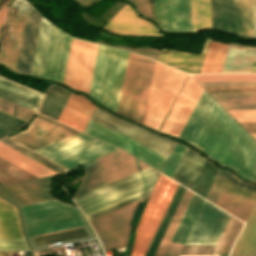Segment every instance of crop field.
<instances>
[{
  "mask_svg": "<svg viewBox=\"0 0 256 256\" xmlns=\"http://www.w3.org/2000/svg\"><path fill=\"white\" fill-rule=\"evenodd\" d=\"M77 131L39 114L28 128L11 139L34 150ZM118 149L80 132L34 150L58 165L70 169Z\"/></svg>",
  "mask_w": 256,
  "mask_h": 256,
  "instance_id": "crop-field-1",
  "label": "crop field"
},
{
  "mask_svg": "<svg viewBox=\"0 0 256 256\" xmlns=\"http://www.w3.org/2000/svg\"><path fill=\"white\" fill-rule=\"evenodd\" d=\"M215 104L194 146L221 165L234 168L243 179L253 181L256 175V141Z\"/></svg>",
  "mask_w": 256,
  "mask_h": 256,
  "instance_id": "crop-field-2",
  "label": "crop field"
},
{
  "mask_svg": "<svg viewBox=\"0 0 256 256\" xmlns=\"http://www.w3.org/2000/svg\"><path fill=\"white\" fill-rule=\"evenodd\" d=\"M90 120L136 140L164 158H167L174 144V142L170 140L129 124L97 108L95 109ZM91 121L89 122L85 133L115 145L147 163L148 165L154 167L155 169L159 171L161 170L166 159L162 158L136 141Z\"/></svg>",
  "mask_w": 256,
  "mask_h": 256,
  "instance_id": "crop-field-3",
  "label": "crop field"
},
{
  "mask_svg": "<svg viewBox=\"0 0 256 256\" xmlns=\"http://www.w3.org/2000/svg\"><path fill=\"white\" fill-rule=\"evenodd\" d=\"M128 55V52L98 47L89 94L114 111L117 110Z\"/></svg>",
  "mask_w": 256,
  "mask_h": 256,
  "instance_id": "crop-field-4",
  "label": "crop field"
},
{
  "mask_svg": "<svg viewBox=\"0 0 256 256\" xmlns=\"http://www.w3.org/2000/svg\"><path fill=\"white\" fill-rule=\"evenodd\" d=\"M27 236L86 225L77 209L56 200L20 207ZM69 229L39 236H45Z\"/></svg>",
  "mask_w": 256,
  "mask_h": 256,
  "instance_id": "crop-field-5",
  "label": "crop field"
},
{
  "mask_svg": "<svg viewBox=\"0 0 256 256\" xmlns=\"http://www.w3.org/2000/svg\"><path fill=\"white\" fill-rule=\"evenodd\" d=\"M159 173L148 168L75 198L85 216L152 189Z\"/></svg>",
  "mask_w": 256,
  "mask_h": 256,
  "instance_id": "crop-field-6",
  "label": "crop field"
},
{
  "mask_svg": "<svg viewBox=\"0 0 256 256\" xmlns=\"http://www.w3.org/2000/svg\"><path fill=\"white\" fill-rule=\"evenodd\" d=\"M188 74L156 63L142 123L159 130Z\"/></svg>",
  "mask_w": 256,
  "mask_h": 256,
  "instance_id": "crop-field-7",
  "label": "crop field"
},
{
  "mask_svg": "<svg viewBox=\"0 0 256 256\" xmlns=\"http://www.w3.org/2000/svg\"><path fill=\"white\" fill-rule=\"evenodd\" d=\"M154 64L130 53L118 113L141 123Z\"/></svg>",
  "mask_w": 256,
  "mask_h": 256,
  "instance_id": "crop-field-8",
  "label": "crop field"
},
{
  "mask_svg": "<svg viewBox=\"0 0 256 256\" xmlns=\"http://www.w3.org/2000/svg\"><path fill=\"white\" fill-rule=\"evenodd\" d=\"M81 166L86 176L75 197L148 168L120 150Z\"/></svg>",
  "mask_w": 256,
  "mask_h": 256,
  "instance_id": "crop-field-9",
  "label": "crop field"
},
{
  "mask_svg": "<svg viewBox=\"0 0 256 256\" xmlns=\"http://www.w3.org/2000/svg\"><path fill=\"white\" fill-rule=\"evenodd\" d=\"M177 186L160 176L137 227L131 256H144Z\"/></svg>",
  "mask_w": 256,
  "mask_h": 256,
  "instance_id": "crop-field-10",
  "label": "crop field"
},
{
  "mask_svg": "<svg viewBox=\"0 0 256 256\" xmlns=\"http://www.w3.org/2000/svg\"><path fill=\"white\" fill-rule=\"evenodd\" d=\"M211 29L253 37L252 0H210Z\"/></svg>",
  "mask_w": 256,
  "mask_h": 256,
  "instance_id": "crop-field-11",
  "label": "crop field"
},
{
  "mask_svg": "<svg viewBox=\"0 0 256 256\" xmlns=\"http://www.w3.org/2000/svg\"><path fill=\"white\" fill-rule=\"evenodd\" d=\"M138 201L90 221L100 241H105L104 251L124 248L127 245L132 215Z\"/></svg>",
  "mask_w": 256,
  "mask_h": 256,
  "instance_id": "crop-field-12",
  "label": "crop field"
},
{
  "mask_svg": "<svg viewBox=\"0 0 256 256\" xmlns=\"http://www.w3.org/2000/svg\"><path fill=\"white\" fill-rule=\"evenodd\" d=\"M97 47L73 38L63 83L88 93Z\"/></svg>",
  "mask_w": 256,
  "mask_h": 256,
  "instance_id": "crop-field-13",
  "label": "crop field"
},
{
  "mask_svg": "<svg viewBox=\"0 0 256 256\" xmlns=\"http://www.w3.org/2000/svg\"><path fill=\"white\" fill-rule=\"evenodd\" d=\"M28 4L17 0L11 7L4 26L0 62L15 69Z\"/></svg>",
  "mask_w": 256,
  "mask_h": 256,
  "instance_id": "crop-field-14",
  "label": "crop field"
},
{
  "mask_svg": "<svg viewBox=\"0 0 256 256\" xmlns=\"http://www.w3.org/2000/svg\"><path fill=\"white\" fill-rule=\"evenodd\" d=\"M229 216L205 202L185 245H215Z\"/></svg>",
  "mask_w": 256,
  "mask_h": 256,
  "instance_id": "crop-field-15",
  "label": "crop field"
},
{
  "mask_svg": "<svg viewBox=\"0 0 256 256\" xmlns=\"http://www.w3.org/2000/svg\"><path fill=\"white\" fill-rule=\"evenodd\" d=\"M202 90L197 82L188 76L160 131L178 137Z\"/></svg>",
  "mask_w": 256,
  "mask_h": 256,
  "instance_id": "crop-field-16",
  "label": "crop field"
},
{
  "mask_svg": "<svg viewBox=\"0 0 256 256\" xmlns=\"http://www.w3.org/2000/svg\"><path fill=\"white\" fill-rule=\"evenodd\" d=\"M255 198L256 187L231 176L216 206L244 221Z\"/></svg>",
  "mask_w": 256,
  "mask_h": 256,
  "instance_id": "crop-field-17",
  "label": "crop field"
},
{
  "mask_svg": "<svg viewBox=\"0 0 256 256\" xmlns=\"http://www.w3.org/2000/svg\"><path fill=\"white\" fill-rule=\"evenodd\" d=\"M153 5L161 29L191 30L190 0H153Z\"/></svg>",
  "mask_w": 256,
  "mask_h": 256,
  "instance_id": "crop-field-18",
  "label": "crop field"
},
{
  "mask_svg": "<svg viewBox=\"0 0 256 256\" xmlns=\"http://www.w3.org/2000/svg\"><path fill=\"white\" fill-rule=\"evenodd\" d=\"M51 177L0 186V194L19 206L52 200L48 194Z\"/></svg>",
  "mask_w": 256,
  "mask_h": 256,
  "instance_id": "crop-field-19",
  "label": "crop field"
},
{
  "mask_svg": "<svg viewBox=\"0 0 256 256\" xmlns=\"http://www.w3.org/2000/svg\"><path fill=\"white\" fill-rule=\"evenodd\" d=\"M72 38L55 27L52 28L46 62L42 78L63 81Z\"/></svg>",
  "mask_w": 256,
  "mask_h": 256,
  "instance_id": "crop-field-20",
  "label": "crop field"
},
{
  "mask_svg": "<svg viewBox=\"0 0 256 256\" xmlns=\"http://www.w3.org/2000/svg\"><path fill=\"white\" fill-rule=\"evenodd\" d=\"M0 238H23L16 208L0 199ZM23 239H0V250H26Z\"/></svg>",
  "mask_w": 256,
  "mask_h": 256,
  "instance_id": "crop-field-21",
  "label": "crop field"
},
{
  "mask_svg": "<svg viewBox=\"0 0 256 256\" xmlns=\"http://www.w3.org/2000/svg\"><path fill=\"white\" fill-rule=\"evenodd\" d=\"M41 17L29 6L21 40L16 72L29 75Z\"/></svg>",
  "mask_w": 256,
  "mask_h": 256,
  "instance_id": "crop-field-22",
  "label": "crop field"
},
{
  "mask_svg": "<svg viewBox=\"0 0 256 256\" xmlns=\"http://www.w3.org/2000/svg\"><path fill=\"white\" fill-rule=\"evenodd\" d=\"M104 28L117 33L161 35L153 24L138 18L128 5L116 13Z\"/></svg>",
  "mask_w": 256,
  "mask_h": 256,
  "instance_id": "crop-field-23",
  "label": "crop field"
},
{
  "mask_svg": "<svg viewBox=\"0 0 256 256\" xmlns=\"http://www.w3.org/2000/svg\"><path fill=\"white\" fill-rule=\"evenodd\" d=\"M94 109L85 98L71 94L58 121L83 132Z\"/></svg>",
  "mask_w": 256,
  "mask_h": 256,
  "instance_id": "crop-field-24",
  "label": "crop field"
},
{
  "mask_svg": "<svg viewBox=\"0 0 256 256\" xmlns=\"http://www.w3.org/2000/svg\"><path fill=\"white\" fill-rule=\"evenodd\" d=\"M205 200L193 195L171 242L184 243ZM170 243L164 256H178L183 244Z\"/></svg>",
  "mask_w": 256,
  "mask_h": 256,
  "instance_id": "crop-field-25",
  "label": "crop field"
},
{
  "mask_svg": "<svg viewBox=\"0 0 256 256\" xmlns=\"http://www.w3.org/2000/svg\"><path fill=\"white\" fill-rule=\"evenodd\" d=\"M214 102L215 101L203 90L192 114L181 131L179 138L186 140L193 145Z\"/></svg>",
  "mask_w": 256,
  "mask_h": 256,
  "instance_id": "crop-field-26",
  "label": "crop field"
},
{
  "mask_svg": "<svg viewBox=\"0 0 256 256\" xmlns=\"http://www.w3.org/2000/svg\"><path fill=\"white\" fill-rule=\"evenodd\" d=\"M209 41L206 39L201 56L162 49L157 61L188 73H199Z\"/></svg>",
  "mask_w": 256,
  "mask_h": 256,
  "instance_id": "crop-field-27",
  "label": "crop field"
},
{
  "mask_svg": "<svg viewBox=\"0 0 256 256\" xmlns=\"http://www.w3.org/2000/svg\"><path fill=\"white\" fill-rule=\"evenodd\" d=\"M0 97L36 111L43 95L0 77Z\"/></svg>",
  "mask_w": 256,
  "mask_h": 256,
  "instance_id": "crop-field-28",
  "label": "crop field"
},
{
  "mask_svg": "<svg viewBox=\"0 0 256 256\" xmlns=\"http://www.w3.org/2000/svg\"><path fill=\"white\" fill-rule=\"evenodd\" d=\"M256 54V47H243L230 44L221 72H249Z\"/></svg>",
  "mask_w": 256,
  "mask_h": 256,
  "instance_id": "crop-field-29",
  "label": "crop field"
},
{
  "mask_svg": "<svg viewBox=\"0 0 256 256\" xmlns=\"http://www.w3.org/2000/svg\"><path fill=\"white\" fill-rule=\"evenodd\" d=\"M204 159L186 149L172 179L191 189Z\"/></svg>",
  "mask_w": 256,
  "mask_h": 256,
  "instance_id": "crop-field-30",
  "label": "crop field"
},
{
  "mask_svg": "<svg viewBox=\"0 0 256 256\" xmlns=\"http://www.w3.org/2000/svg\"><path fill=\"white\" fill-rule=\"evenodd\" d=\"M230 256H256V202Z\"/></svg>",
  "mask_w": 256,
  "mask_h": 256,
  "instance_id": "crop-field-31",
  "label": "crop field"
},
{
  "mask_svg": "<svg viewBox=\"0 0 256 256\" xmlns=\"http://www.w3.org/2000/svg\"><path fill=\"white\" fill-rule=\"evenodd\" d=\"M0 156L38 177L56 174V172L48 169L47 167L39 164L38 162L28 158L27 156L19 153L18 151L8 147L1 142Z\"/></svg>",
  "mask_w": 256,
  "mask_h": 256,
  "instance_id": "crop-field-32",
  "label": "crop field"
},
{
  "mask_svg": "<svg viewBox=\"0 0 256 256\" xmlns=\"http://www.w3.org/2000/svg\"><path fill=\"white\" fill-rule=\"evenodd\" d=\"M52 25L41 20L34 59L30 75L41 78Z\"/></svg>",
  "mask_w": 256,
  "mask_h": 256,
  "instance_id": "crop-field-33",
  "label": "crop field"
},
{
  "mask_svg": "<svg viewBox=\"0 0 256 256\" xmlns=\"http://www.w3.org/2000/svg\"><path fill=\"white\" fill-rule=\"evenodd\" d=\"M192 195H193V193L189 192L188 190H185L154 256H163V254L169 244V241H170Z\"/></svg>",
  "mask_w": 256,
  "mask_h": 256,
  "instance_id": "crop-field-34",
  "label": "crop field"
},
{
  "mask_svg": "<svg viewBox=\"0 0 256 256\" xmlns=\"http://www.w3.org/2000/svg\"><path fill=\"white\" fill-rule=\"evenodd\" d=\"M211 95L226 109H256V93Z\"/></svg>",
  "mask_w": 256,
  "mask_h": 256,
  "instance_id": "crop-field-35",
  "label": "crop field"
},
{
  "mask_svg": "<svg viewBox=\"0 0 256 256\" xmlns=\"http://www.w3.org/2000/svg\"><path fill=\"white\" fill-rule=\"evenodd\" d=\"M228 45L210 41L200 73H219Z\"/></svg>",
  "mask_w": 256,
  "mask_h": 256,
  "instance_id": "crop-field-36",
  "label": "crop field"
},
{
  "mask_svg": "<svg viewBox=\"0 0 256 256\" xmlns=\"http://www.w3.org/2000/svg\"><path fill=\"white\" fill-rule=\"evenodd\" d=\"M192 30L210 29L209 0H191Z\"/></svg>",
  "mask_w": 256,
  "mask_h": 256,
  "instance_id": "crop-field-37",
  "label": "crop field"
},
{
  "mask_svg": "<svg viewBox=\"0 0 256 256\" xmlns=\"http://www.w3.org/2000/svg\"><path fill=\"white\" fill-rule=\"evenodd\" d=\"M36 178V176L0 157V183Z\"/></svg>",
  "mask_w": 256,
  "mask_h": 256,
  "instance_id": "crop-field-38",
  "label": "crop field"
},
{
  "mask_svg": "<svg viewBox=\"0 0 256 256\" xmlns=\"http://www.w3.org/2000/svg\"><path fill=\"white\" fill-rule=\"evenodd\" d=\"M0 111L26 121L35 111L0 98Z\"/></svg>",
  "mask_w": 256,
  "mask_h": 256,
  "instance_id": "crop-field-39",
  "label": "crop field"
},
{
  "mask_svg": "<svg viewBox=\"0 0 256 256\" xmlns=\"http://www.w3.org/2000/svg\"><path fill=\"white\" fill-rule=\"evenodd\" d=\"M197 81L256 80V74L193 75Z\"/></svg>",
  "mask_w": 256,
  "mask_h": 256,
  "instance_id": "crop-field-40",
  "label": "crop field"
},
{
  "mask_svg": "<svg viewBox=\"0 0 256 256\" xmlns=\"http://www.w3.org/2000/svg\"><path fill=\"white\" fill-rule=\"evenodd\" d=\"M229 174L225 173V172H221L219 171L207 197L206 200L210 201L213 204H216L228 178H229Z\"/></svg>",
  "mask_w": 256,
  "mask_h": 256,
  "instance_id": "crop-field-41",
  "label": "crop field"
},
{
  "mask_svg": "<svg viewBox=\"0 0 256 256\" xmlns=\"http://www.w3.org/2000/svg\"><path fill=\"white\" fill-rule=\"evenodd\" d=\"M176 145V144H175ZM175 147V146H174ZM174 149V148H173ZM186 147L180 145L177 143L164 171H163V174L169 176V177H172L184 151H185Z\"/></svg>",
  "mask_w": 256,
  "mask_h": 256,
  "instance_id": "crop-field-42",
  "label": "crop field"
},
{
  "mask_svg": "<svg viewBox=\"0 0 256 256\" xmlns=\"http://www.w3.org/2000/svg\"><path fill=\"white\" fill-rule=\"evenodd\" d=\"M209 93L256 92V86L204 87Z\"/></svg>",
  "mask_w": 256,
  "mask_h": 256,
  "instance_id": "crop-field-43",
  "label": "crop field"
},
{
  "mask_svg": "<svg viewBox=\"0 0 256 256\" xmlns=\"http://www.w3.org/2000/svg\"><path fill=\"white\" fill-rule=\"evenodd\" d=\"M150 191H151V190H150ZM150 191L145 192V193H143V194H141V195H138V196H136V197H133V198H131V199H128V200H126V201H123V202H121V203H119V204H116V205H114V206H111V207H109V208H106V209H104V210H101V211H99V212H97V213H94V214H92V215H89V216H87V219H88V221H90V220H92V219H94V218H97V217H99V216H101V215H104V214H106V213H108V212H111V211H113V210H115V209H117V208H120V207H122V206H124V205H127V204H129V203H131V202H134V201H136V200H138V199H141V198H143V197L149 195ZM138 201H139V200H138Z\"/></svg>",
  "mask_w": 256,
  "mask_h": 256,
  "instance_id": "crop-field-44",
  "label": "crop field"
},
{
  "mask_svg": "<svg viewBox=\"0 0 256 256\" xmlns=\"http://www.w3.org/2000/svg\"><path fill=\"white\" fill-rule=\"evenodd\" d=\"M242 225H243V223L236 221L220 256H228Z\"/></svg>",
  "mask_w": 256,
  "mask_h": 256,
  "instance_id": "crop-field-45",
  "label": "crop field"
},
{
  "mask_svg": "<svg viewBox=\"0 0 256 256\" xmlns=\"http://www.w3.org/2000/svg\"><path fill=\"white\" fill-rule=\"evenodd\" d=\"M239 122H256V110H228Z\"/></svg>",
  "mask_w": 256,
  "mask_h": 256,
  "instance_id": "crop-field-46",
  "label": "crop field"
},
{
  "mask_svg": "<svg viewBox=\"0 0 256 256\" xmlns=\"http://www.w3.org/2000/svg\"><path fill=\"white\" fill-rule=\"evenodd\" d=\"M136 7L140 10L142 15L153 18V8L151 4V0H132Z\"/></svg>",
  "mask_w": 256,
  "mask_h": 256,
  "instance_id": "crop-field-47",
  "label": "crop field"
},
{
  "mask_svg": "<svg viewBox=\"0 0 256 256\" xmlns=\"http://www.w3.org/2000/svg\"><path fill=\"white\" fill-rule=\"evenodd\" d=\"M202 86L256 85V81L199 82Z\"/></svg>",
  "mask_w": 256,
  "mask_h": 256,
  "instance_id": "crop-field-48",
  "label": "crop field"
},
{
  "mask_svg": "<svg viewBox=\"0 0 256 256\" xmlns=\"http://www.w3.org/2000/svg\"><path fill=\"white\" fill-rule=\"evenodd\" d=\"M250 133H256V123H241Z\"/></svg>",
  "mask_w": 256,
  "mask_h": 256,
  "instance_id": "crop-field-49",
  "label": "crop field"
},
{
  "mask_svg": "<svg viewBox=\"0 0 256 256\" xmlns=\"http://www.w3.org/2000/svg\"><path fill=\"white\" fill-rule=\"evenodd\" d=\"M254 37H256V0H253Z\"/></svg>",
  "mask_w": 256,
  "mask_h": 256,
  "instance_id": "crop-field-50",
  "label": "crop field"
},
{
  "mask_svg": "<svg viewBox=\"0 0 256 256\" xmlns=\"http://www.w3.org/2000/svg\"><path fill=\"white\" fill-rule=\"evenodd\" d=\"M77 3H79L80 5H82L83 7L88 6L94 2H96L97 0H75Z\"/></svg>",
  "mask_w": 256,
  "mask_h": 256,
  "instance_id": "crop-field-51",
  "label": "crop field"
},
{
  "mask_svg": "<svg viewBox=\"0 0 256 256\" xmlns=\"http://www.w3.org/2000/svg\"><path fill=\"white\" fill-rule=\"evenodd\" d=\"M7 9H8V8L4 7V8L2 9V11L0 12V25H1V23H2V20H3V18H4V15H5Z\"/></svg>",
  "mask_w": 256,
  "mask_h": 256,
  "instance_id": "crop-field-52",
  "label": "crop field"
},
{
  "mask_svg": "<svg viewBox=\"0 0 256 256\" xmlns=\"http://www.w3.org/2000/svg\"><path fill=\"white\" fill-rule=\"evenodd\" d=\"M14 252H0V256H12Z\"/></svg>",
  "mask_w": 256,
  "mask_h": 256,
  "instance_id": "crop-field-53",
  "label": "crop field"
},
{
  "mask_svg": "<svg viewBox=\"0 0 256 256\" xmlns=\"http://www.w3.org/2000/svg\"><path fill=\"white\" fill-rule=\"evenodd\" d=\"M250 72H256V57H255V60L253 62V65H252V68H251Z\"/></svg>",
  "mask_w": 256,
  "mask_h": 256,
  "instance_id": "crop-field-54",
  "label": "crop field"
},
{
  "mask_svg": "<svg viewBox=\"0 0 256 256\" xmlns=\"http://www.w3.org/2000/svg\"><path fill=\"white\" fill-rule=\"evenodd\" d=\"M256 138V134H252Z\"/></svg>",
  "mask_w": 256,
  "mask_h": 256,
  "instance_id": "crop-field-55",
  "label": "crop field"
},
{
  "mask_svg": "<svg viewBox=\"0 0 256 256\" xmlns=\"http://www.w3.org/2000/svg\"><path fill=\"white\" fill-rule=\"evenodd\" d=\"M256 182V181H255Z\"/></svg>",
  "mask_w": 256,
  "mask_h": 256,
  "instance_id": "crop-field-56",
  "label": "crop field"
}]
</instances>
